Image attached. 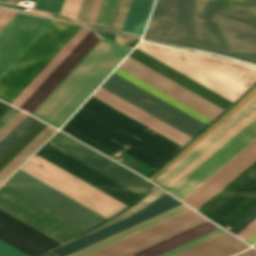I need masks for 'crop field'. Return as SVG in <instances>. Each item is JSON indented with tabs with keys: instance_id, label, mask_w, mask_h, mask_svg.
Instances as JSON below:
<instances>
[{
	"instance_id": "obj_22",
	"label": "crop field",
	"mask_w": 256,
	"mask_h": 256,
	"mask_svg": "<svg viewBox=\"0 0 256 256\" xmlns=\"http://www.w3.org/2000/svg\"><path fill=\"white\" fill-rule=\"evenodd\" d=\"M181 205L178 201L173 199V197L165 194L163 197H161L159 200H157L155 203H153L151 206H149L147 209L123 220L116 224H113L109 227H106L100 231H97L93 234H90L86 237H83L79 240H76L70 244H67L63 247L51 250L52 252L60 255V256H66L70 253H73L79 249H82L86 246H89L95 242H98L104 238H107L113 234H116L122 230H125L129 227H132L138 223H141L147 219H150L156 215H159L163 212H166L172 208H175L177 206Z\"/></svg>"
},
{
	"instance_id": "obj_6",
	"label": "crop field",
	"mask_w": 256,
	"mask_h": 256,
	"mask_svg": "<svg viewBox=\"0 0 256 256\" xmlns=\"http://www.w3.org/2000/svg\"><path fill=\"white\" fill-rule=\"evenodd\" d=\"M191 210L89 256H135L134 254L142 250L208 222ZM216 228L218 227L208 222L136 255L155 256Z\"/></svg>"
},
{
	"instance_id": "obj_19",
	"label": "crop field",
	"mask_w": 256,
	"mask_h": 256,
	"mask_svg": "<svg viewBox=\"0 0 256 256\" xmlns=\"http://www.w3.org/2000/svg\"><path fill=\"white\" fill-rule=\"evenodd\" d=\"M118 68L128 72L155 89L165 94L167 93V95L177 99L212 120L224 111L128 56Z\"/></svg>"
},
{
	"instance_id": "obj_9",
	"label": "crop field",
	"mask_w": 256,
	"mask_h": 256,
	"mask_svg": "<svg viewBox=\"0 0 256 256\" xmlns=\"http://www.w3.org/2000/svg\"><path fill=\"white\" fill-rule=\"evenodd\" d=\"M19 169L107 219L127 207L36 154Z\"/></svg>"
},
{
	"instance_id": "obj_7",
	"label": "crop field",
	"mask_w": 256,
	"mask_h": 256,
	"mask_svg": "<svg viewBox=\"0 0 256 256\" xmlns=\"http://www.w3.org/2000/svg\"><path fill=\"white\" fill-rule=\"evenodd\" d=\"M79 28L54 21L0 79V98L11 103Z\"/></svg>"
},
{
	"instance_id": "obj_51",
	"label": "crop field",
	"mask_w": 256,
	"mask_h": 256,
	"mask_svg": "<svg viewBox=\"0 0 256 256\" xmlns=\"http://www.w3.org/2000/svg\"><path fill=\"white\" fill-rule=\"evenodd\" d=\"M1 2H3V0H0Z\"/></svg>"
},
{
	"instance_id": "obj_44",
	"label": "crop field",
	"mask_w": 256,
	"mask_h": 256,
	"mask_svg": "<svg viewBox=\"0 0 256 256\" xmlns=\"http://www.w3.org/2000/svg\"><path fill=\"white\" fill-rule=\"evenodd\" d=\"M255 230H256V219L252 223H250L246 228H244L240 233H238L236 236L244 240Z\"/></svg>"
},
{
	"instance_id": "obj_40",
	"label": "crop field",
	"mask_w": 256,
	"mask_h": 256,
	"mask_svg": "<svg viewBox=\"0 0 256 256\" xmlns=\"http://www.w3.org/2000/svg\"><path fill=\"white\" fill-rule=\"evenodd\" d=\"M26 114L18 112L8 123L0 129V140L4 138L24 117Z\"/></svg>"
},
{
	"instance_id": "obj_48",
	"label": "crop field",
	"mask_w": 256,
	"mask_h": 256,
	"mask_svg": "<svg viewBox=\"0 0 256 256\" xmlns=\"http://www.w3.org/2000/svg\"><path fill=\"white\" fill-rule=\"evenodd\" d=\"M245 241L253 244L256 241V231L246 238Z\"/></svg>"
},
{
	"instance_id": "obj_34",
	"label": "crop field",
	"mask_w": 256,
	"mask_h": 256,
	"mask_svg": "<svg viewBox=\"0 0 256 256\" xmlns=\"http://www.w3.org/2000/svg\"><path fill=\"white\" fill-rule=\"evenodd\" d=\"M164 192H162L160 189H155L153 192H151L149 195H147L145 198H143L141 201H139L137 204H135L134 206L128 208L127 210L123 211L122 213H120L119 215H117L116 217L112 218L111 220H109L108 222L100 225L99 227L93 229L92 231L99 229L103 226H106L108 224H111L115 221L121 220L123 218L128 217L129 215H131L132 213L136 212L137 210L143 209L144 207H146L150 202L154 201L156 198H158L161 194H163ZM91 232V231H90ZM89 233V232H88ZM87 234V233H86Z\"/></svg>"
},
{
	"instance_id": "obj_29",
	"label": "crop field",
	"mask_w": 256,
	"mask_h": 256,
	"mask_svg": "<svg viewBox=\"0 0 256 256\" xmlns=\"http://www.w3.org/2000/svg\"><path fill=\"white\" fill-rule=\"evenodd\" d=\"M113 73H115V74H117V75H119V76H121V77H123V78H125V79H127L129 81H131L132 83H134V84L138 85L139 87L147 90L148 92L154 94L155 96H157V97L161 98L162 100L170 103L171 105L177 107L178 109L184 111L185 113L191 115L192 117L200 120L201 122H203V123H205L207 125L212 121V120L204 117L203 115L197 113L196 111L188 108L187 106H185V105H183L181 103H178L173 98H171V97H169V96H167V95H165V94L155 90L154 88L148 86L147 84L141 82L140 80L132 77L131 75L125 73L124 71H122V70H120L118 68Z\"/></svg>"
},
{
	"instance_id": "obj_14",
	"label": "crop field",
	"mask_w": 256,
	"mask_h": 256,
	"mask_svg": "<svg viewBox=\"0 0 256 256\" xmlns=\"http://www.w3.org/2000/svg\"><path fill=\"white\" fill-rule=\"evenodd\" d=\"M15 12L0 10V31ZM52 23L51 20L17 13L0 32V78Z\"/></svg>"
},
{
	"instance_id": "obj_23",
	"label": "crop field",
	"mask_w": 256,
	"mask_h": 256,
	"mask_svg": "<svg viewBox=\"0 0 256 256\" xmlns=\"http://www.w3.org/2000/svg\"><path fill=\"white\" fill-rule=\"evenodd\" d=\"M92 96L100 99L182 146L192 139L100 87Z\"/></svg>"
},
{
	"instance_id": "obj_35",
	"label": "crop field",
	"mask_w": 256,
	"mask_h": 256,
	"mask_svg": "<svg viewBox=\"0 0 256 256\" xmlns=\"http://www.w3.org/2000/svg\"><path fill=\"white\" fill-rule=\"evenodd\" d=\"M130 3H131V0H119L110 27L120 29V30L122 29Z\"/></svg>"
},
{
	"instance_id": "obj_13",
	"label": "crop field",
	"mask_w": 256,
	"mask_h": 256,
	"mask_svg": "<svg viewBox=\"0 0 256 256\" xmlns=\"http://www.w3.org/2000/svg\"><path fill=\"white\" fill-rule=\"evenodd\" d=\"M146 36L210 49L256 62V47L200 30L150 17Z\"/></svg>"
},
{
	"instance_id": "obj_5",
	"label": "crop field",
	"mask_w": 256,
	"mask_h": 256,
	"mask_svg": "<svg viewBox=\"0 0 256 256\" xmlns=\"http://www.w3.org/2000/svg\"><path fill=\"white\" fill-rule=\"evenodd\" d=\"M256 93V87L244 97L233 109H231L225 116H223L217 123H215L209 130H207L201 137H199L193 144H191L185 151H183L177 158H175L170 164L156 173L151 180L157 177L173 162H175L180 156L200 141L205 135L225 120L230 114L244 104ZM256 117V94L230 115L225 121L205 136L200 142L180 157L175 163L167 168L153 181L161 185L166 190L172 188L224 143H226L231 137L245 127Z\"/></svg>"
},
{
	"instance_id": "obj_2",
	"label": "crop field",
	"mask_w": 256,
	"mask_h": 256,
	"mask_svg": "<svg viewBox=\"0 0 256 256\" xmlns=\"http://www.w3.org/2000/svg\"><path fill=\"white\" fill-rule=\"evenodd\" d=\"M131 50L101 38L33 114L60 128Z\"/></svg>"
},
{
	"instance_id": "obj_11",
	"label": "crop field",
	"mask_w": 256,
	"mask_h": 256,
	"mask_svg": "<svg viewBox=\"0 0 256 256\" xmlns=\"http://www.w3.org/2000/svg\"><path fill=\"white\" fill-rule=\"evenodd\" d=\"M100 87L192 138L207 126L113 73Z\"/></svg>"
},
{
	"instance_id": "obj_15",
	"label": "crop field",
	"mask_w": 256,
	"mask_h": 256,
	"mask_svg": "<svg viewBox=\"0 0 256 256\" xmlns=\"http://www.w3.org/2000/svg\"><path fill=\"white\" fill-rule=\"evenodd\" d=\"M255 188L256 166L202 210L201 213L215 221ZM255 207L256 189L215 222L229 230Z\"/></svg>"
},
{
	"instance_id": "obj_53",
	"label": "crop field",
	"mask_w": 256,
	"mask_h": 256,
	"mask_svg": "<svg viewBox=\"0 0 256 256\" xmlns=\"http://www.w3.org/2000/svg\"><path fill=\"white\" fill-rule=\"evenodd\" d=\"M255 247H256V244H255Z\"/></svg>"
},
{
	"instance_id": "obj_37",
	"label": "crop field",
	"mask_w": 256,
	"mask_h": 256,
	"mask_svg": "<svg viewBox=\"0 0 256 256\" xmlns=\"http://www.w3.org/2000/svg\"><path fill=\"white\" fill-rule=\"evenodd\" d=\"M81 3L82 0H65L60 14L68 15L76 20Z\"/></svg>"
},
{
	"instance_id": "obj_38",
	"label": "crop field",
	"mask_w": 256,
	"mask_h": 256,
	"mask_svg": "<svg viewBox=\"0 0 256 256\" xmlns=\"http://www.w3.org/2000/svg\"><path fill=\"white\" fill-rule=\"evenodd\" d=\"M63 0H39L38 9L60 13Z\"/></svg>"
},
{
	"instance_id": "obj_52",
	"label": "crop field",
	"mask_w": 256,
	"mask_h": 256,
	"mask_svg": "<svg viewBox=\"0 0 256 256\" xmlns=\"http://www.w3.org/2000/svg\"><path fill=\"white\" fill-rule=\"evenodd\" d=\"M4 2H6V0H4Z\"/></svg>"
},
{
	"instance_id": "obj_30",
	"label": "crop field",
	"mask_w": 256,
	"mask_h": 256,
	"mask_svg": "<svg viewBox=\"0 0 256 256\" xmlns=\"http://www.w3.org/2000/svg\"><path fill=\"white\" fill-rule=\"evenodd\" d=\"M47 125L38 121L28 130L12 147L0 157V170L13 159L35 136H37Z\"/></svg>"
},
{
	"instance_id": "obj_25",
	"label": "crop field",
	"mask_w": 256,
	"mask_h": 256,
	"mask_svg": "<svg viewBox=\"0 0 256 256\" xmlns=\"http://www.w3.org/2000/svg\"><path fill=\"white\" fill-rule=\"evenodd\" d=\"M250 246L225 232L174 256H230Z\"/></svg>"
},
{
	"instance_id": "obj_16",
	"label": "crop field",
	"mask_w": 256,
	"mask_h": 256,
	"mask_svg": "<svg viewBox=\"0 0 256 256\" xmlns=\"http://www.w3.org/2000/svg\"><path fill=\"white\" fill-rule=\"evenodd\" d=\"M48 143L70 154L108 177L117 180V182L141 195L155 186L107 157L91 150L60 132H58ZM93 155L95 157H92Z\"/></svg>"
},
{
	"instance_id": "obj_45",
	"label": "crop field",
	"mask_w": 256,
	"mask_h": 256,
	"mask_svg": "<svg viewBox=\"0 0 256 256\" xmlns=\"http://www.w3.org/2000/svg\"><path fill=\"white\" fill-rule=\"evenodd\" d=\"M18 110L14 108H10L1 118H0V128L8 122L16 113Z\"/></svg>"
},
{
	"instance_id": "obj_17",
	"label": "crop field",
	"mask_w": 256,
	"mask_h": 256,
	"mask_svg": "<svg viewBox=\"0 0 256 256\" xmlns=\"http://www.w3.org/2000/svg\"><path fill=\"white\" fill-rule=\"evenodd\" d=\"M36 154L127 206L141 196L48 143Z\"/></svg>"
},
{
	"instance_id": "obj_27",
	"label": "crop field",
	"mask_w": 256,
	"mask_h": 256,
	"mask_svg": "<svg viewBox=\"0 0 256 256\" xmlns=\"http://www.w3.org/2000/svg\"><path fill=\"white\" fill-rule=\"evenodd\" d=\"M57 130L47 126L13 160L0 171V184L32 156ZM12 175V174H11Z\"/></svg>"
},
{
	"instance_id": "obj_3",
	"label": "crop field",
	"mask_w": 256,
	"mask_h": 256,
	"mask_svg": "<svg viewBox=\"0 0 256 256\" xmlns=\"http://www.w3.org/2000/svg\"><path fill=\"white\" fill-rule=\"evenodd\" d=\"M136 48L233 102L256 81V68L244 64L179 49L248 88L175 48L144 41Z\"/></svg>"
},
{
	"instance_id": "obj_41",
	"label": "crop field",
	"mask_w": 256,
	"mask_h": 256,
	"mask_svg": "<svg viewBox=\"0 0 256 256\" xmlns=\"http://www.w3.org/2000/svg\"><path fill=\"white\" fill-rule=\"evenodd\" d=\"M256 218V208L250 212L246 217H244L240 222H238L234 227H232L229 231L233 234H237L244 227H246L250 222H252Z\"/></svg>"
},
{
	"instance_id": "obj_26",
	"label": "crop field",
	"mask_w": 256,
	"mask_h": 256,
	"mask_svg": "<svg viewBox=\"0 0 256 256\" xmlns=\"http://www.w3.org/2000/svg\"><path fill=\"white\" fill-rule=\"evenodd\" d=\"M187 210H189V208L186 207L183 204V205H181V206H179V207H177L175 209H172V210H170V211H168L166 213H163V214H161L159 216H156V217H154V218H152L150 220H147V221H145V222H143L141 224H138V225H136V226H134L132 228H129V229H127V230H125L123 232H120V233H118L116 235H113V236H111V237H109L107 239H104V240H102V241H100L98 243H95V244H93V245H91L89 247H86V248H84L82 250H79V251H77V252H75L73 254H70L68 256H87V255H89L91 253H94V252H96V251H98L100 249H103V248H105V247H107V246H109L111 244H114V243H116V242H118L120 240H123V239H125V238H127V237H129L131 235H134V234H136V233H138L140 231H143V230H145V229H147L149 227H152V226H154V225H156V224H158L160 222H163V221H165V220H167L169 218H172V217H174V216H176V215H178L180 213H183V212H185Z\"/></svg>"
},
{
	"instance_id": "obj_43",
	"label": "crop field",
	"mask_w": 256,
	"mask_h": 256,
	"mask_svg": "<svg viewBox=\"0 0 256 256\" xmlns=\"http://www.w3.org/2000/svg\"><path fill=\"white\" fill-rule=\"evenodd\" d=\"M0 256H27L0 240Z\"/></svg>"
},
{
	"instance_id": "obj_50",
	"label": "crop field",
	"mask_w": 256,
	"mask_h": 256,
	"mask_svg": "<svg viewBox=\"0 0 256 256\" xmlns=\"http://www.w3.org/2000/svg\"><path fill=\"white\" fill-rule=\"evenodd\" d=\"M7 2L16 3V2H17V0H8Z\"/></svg>"
},
{
	"instance_id": "obj_32",
	"label": "crop field",
	"mask_w": 256,
	"mask_h": 256,
	"mask_svg": "<svg viewBox=\"0 0 256 256\" xmlns=\"http://www.w3.org/2000/svg\"><path fill=\"white\" fill-rule=\"evenodd\" d=\"M37 121L38 120L27 115L4 139L0 141V156Z\"/></svg>"
},
{
	"instance_id": "obj_20",
	"label": "crop field",
	"mask_w": 256,
	"mask_h": 256,
	"mask_svg": "<svg viewBox=\"0 0 256 256\" xmlns=\"http://www.w3.org/2000/svg\"><path fill=\"white\" fill-rule=\"evenodd\" d=\"M256 161V139L182 201L199 209Z\"/></svg>"
},
{
	"instance_id": "obj_54",
	"label": "crop field",
	"mask_w": 256,
	"mask_h": 256,
	"mask_svg": "<svg viewBox=\"0 0 256 256\" xmlns=\"http://www.w3.org/2000/svg\"><path fill=\"white\" fill-rule=\"evenodd\" d=\"M254 1H256V0H254Z\"/></svg>"
},
{
	"instance_id": "obj_33",
	"label": "crop field",
	"mask_w": 256,
	"mask_h": 256,
	"mask_svg": "<svg viewBox=\"0 0 256 256\" xmlns=\"http://www.w3.org/2000/svg\"><path fill=\"white\" fill-rule=\"evenodd\" d=\"M231 10L256 16V2L250 0H202Z\"/></svg>"
},
{
	"instance_id": "obj_21",
	"label": "crop field",
	"mask_w": 256,
	"mask_h": 256,
	"mask_svg": "<svg viewBox=\"0 0 256 256\" xmlns=\"http://www.w3.org/2000/svg\"><path fill=\"white\" fill-rule=\"evenodd\" d=\"M0 239L29 256L62 245L0 210Z\"/></svg>"
},
{
	"instance_id": "obj_18",
	"label": "crop field",
	"mask_w": 256,
	"mask_h": 256,
	"mask_svg": "<svg viewBox=\"0 0 256 256\" xmlns=\"http://www.w3.org/2000/svg\"><path fill=\"white\" fill-rule=\"evenodd\" d=\"M255 138L256 119L241 130L236 136L228 141L223 147H221L169 192L182 200Z\"/></svg>"
},
{
	"instance_id": "obj_1",
	"label": "crop field",
	"mask_w": 256,
	"mask_h": 256,
	"mask_svg": "<svg viewBox=\"0 0 256 256\" xmlns=\"http://www.w3.org/2000/svg\"><path fill=\"white\" fill-rule=\"evenodd\" d=\"M61 130L110 157L121 149L155 169L182 147L92 96Z\"/></svg>"
},
{
	"instance_id": "obj_49",
	"label": "crop field",
	"mask_w": 256,
	"mask_h": 256,
	"mask_svg": "<svg viewBox=\"0 0 256 256\" xmlns=\"http://www.w3.org/2000/svg\"><path fill=\"white\" fill-rule=\"evenodd\" d=\"M44 256H55V255L52 254V253H48V254H46V255H44Z\"/></svg>"
},
{
	"instance_id": "obj_8",
	"label": "crop field",
	"mask_w": 256,
	"mask_h": 256,
	"mask_svg": "<svg viewBox=\"0 0 256 256\" xmlns=\"http://www.w3.org/2000/svg\"><path fill=\"white\" fill-rule=\"evenodd\" d=\"M99 39L95 32L81 27L12 105L31 114Z\"/></svg>"
},
{
	"instance_id": "obj_39",
	"label": "crop field",
	"mask_w": 256,
	"mask_h": 256,
	"mask_svg": "<svg viewBox=\"0 0 256 256\" xmlns=\"http://www.w3.org/2000/svg\"><path fill=\"white\" fill-rule=\"evenodd\" d=\"M96 32L105 38L111 39L113 41L131 46V47H134L136 43L139 41V39H135L132 37L119 36L111 33H104V32H98V31Z\"/></svg>"
},
{
	"instance_id": "obj_36",
	"label": "crop field",
	"mask_w": 256,
	"mask_h": 256,
	"mask_svg": "<svg viewBox=\"0 0 256 256\" xmlns=\"http://www.w3.org/2000/svg\"><path fill=\"white\" fill-rule=\"evenodd\" d=\"M223 232H225V231L223 229L219 228V229H217V230H215L213 232H210V233H208V234H206V235H204L202 237H199V238H197V239H195L193 241H190V242H188V243H186L184 245H181V246H179V247H177L175 249H172V250H170V251H168V252H166L164 254H161L159 256H172V255H174V254H176L178 252H181V251H183V250H185L187 248H190V247H192V246H194L196 244H199V243H201V242H203V241H205L207 239H210V238H212V237H214L216 235H219V234H221Z\"/></svg>"
},
{
	"instance_id": "obj_28",
	"label": "crop field",
	"mask_w": 256,
	"mask_h": 256,
	"mask_svg": "<svg viewBox=\"0 0 256 256\" xmlns=\"http://www.w3.org/2000/svg\"><path fill=\"white\" fill-rule=\"evenodd\" d=\"M154 0H132L123 29L135 34H142L150 15Z\"/></svg>"
},
{
	"instance_id": "obj_46",
	"label": "crop field",
	"mask_w": 256,
	"mask_h": 256,
	"mask_svg": "<svg viewBox=\"0 0 256 256\" xmlns=\"http://www.w3.org/2000/svg\"><path fill=\"white\" fill-rule=\"evenodd\" d=\"M236 256H256V250L251 248V249H249V250H247L245 252H242V253H240V254H238Z\"/></svg>"
},
{
	"instance_id": "obj_10",
	"label": "crop field",
	"mask_w": 256,
	"mask_h": 256,
	"mask_svg": "<svg viewBox=\"0 0 256 256\" xmlns=\"http://www.w3.org/2000/svg\"><path fill=\"white\" fill-rule=\"evenodd\" d=\"M4 184L86 231L106 220L19 169Z\"/></svg>"
},
{
	"instance_id": "obj_42",
	"label": "crop field",
	"mask_w": 256,
	"mask_h": 256,
	"mask_svg": "<svg viewBox=\"0 0 256 256\" xmlns=\"http://www.w3.org/2000/svg\"><path fill=\"white\" fill-rule=\"evenodd\" d=\"M93 2L94 0H83L82 6L76 21L84 22V23L87 22Z\"/></svg>"
},
{
	"instance_id": "obj_31",
	"label": "crop field",
	"mask_w": 256,
	"mask_h": 256,
	"mask_svg": "<svg viewBox=\"0 0 256 256\" xmlns=\"http://www.w3.org/2000/svg\"><path fill=\"white\" fill-rule=\"evenodd\" d=\"M105 2H106V0H102V3H101V0H95L92 11H91V14H90L89 19H88V22L90 24L94 23L99 5L101 3L98 14H97V17H96V20H95V23H94V24H98L101 13H102L104 5H105ZM117 2H118V0H107L104 11L102 13V16H101V19H100V22H99L100 25H104V26H108V27L110 26V23H111V20H112Z\"/></svg>"
},
{
	"instance_id": "obj_24",
	"label": "crop field",
	"mask_w": 256,
	"mask_h": 256,
	"mask_svg": "<svg viewBox=\"0 0 256 256\" xmlns=\"http://www.w3.org/2000/svg\"><path fill=\"white\" fill-rule=\"evenodd\" d=\"M128 56L136 59L137 61L168 77L169 79L175 81L176 83L182 85L183 87L189 89L190 91L196 93L197 95L203 97L204 99L210 101L211 103L224 110L233 103L136 48Z\"/></svg>"
},
{
	"instance_id": "obj_4",
	"label": "crop field",
	"mask_w": 256,
	"mask_h": 256,
	"mask_svg": "<svg viewBox=\"0 0 256 256\" xmlns=\"http://www.w3.org/2000/svg\"><path fill=\"white\" fill-rule=\"evenodd\" d=\"M151 15L256 46L255 17L199 0H157Z\"/></svg>"
},
{
	"instance_id": "obj_47",
	"label": "crop field",
	"mask_w": 256,
	"mask_h": 256,
	"mask_svg": "<svg viewBox=\"0 0 256 256\" xmlns=\"http://www.w3.org/2000/svg\"><path fill=\"white\" fill-rule=\"evenodd\" d=\"M11 106L0 101V116H2Z\"/></svg>"
},
{
	"instance_id": "obj_12",
	"label": "crop field",
	"mask_w": 256,
	"mask_h": 256,
	"mask_svg": "<svg viewBox=\"0 0 256 256\" xmlns=\"http://www.w3.org/2000/svg\"><path fill=\"white\" fill-rule=\"evenodd\" d=\"M0 209L62 244L86 232L4 184L0 187Z\"/></svg>"
}]
</instances>
